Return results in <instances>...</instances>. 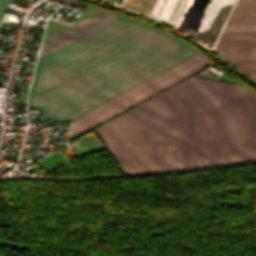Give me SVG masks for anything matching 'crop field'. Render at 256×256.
<instances>
[{
    "instance_id": "2",
    "label": "crop field",
    "mask_w": 256,
    "mask_h": 256,
    "mask_svg": "<svg viewBox=\"0 0 256 256\" xmlns=\"http://www.w3.org/2000/svg\"><path fill=\"white\" fill-rule=\"evenodd\" d=\"M153 99L188 169L256 161L254 91L192 77ZM153 99L93 130L124 174L187 169Z\"/></svg>"
},
{
    "instance_id": "1",
    "label": "crop field",
    "mask_w": 256,
    "mask_h": 256,
    "mask_svg": "<svg viewBox=\"0 0 256 256\" xmlns=\"http://www.w3.org/2000/svg\"><path fill=\"white\" fill-rule=\"evenodd\" d=\"M119 16L100 10L43 40L39 56ZM181 41L121 16L40 57L29 108L72 120L70 141L213 63Z\"/></svg>"
},
{
    "instance_id": "4",
    "label": "crop field",
    "mask_w": 256,
    "mask_h": 256,
    "mask_svg": "<svg viewBox=\"0 0 256 256\" xmlns=\"http://www.w3.org/2000/svg\"><path fill=\"white\" fill-rule=\"evenodd\" d=\"M10 1H12V0H0V14H1V12L3 11L5 5H6L7 3H9Z\"/></svg>"
},
{
    "instance_id": "3",
    "label": "crop field",
    "mask_w": 256,
    "mask_h": 256,
    "mask_svg": "<svg viewBox=\"0 0 256 256\" xmlns=\"http://www.w3.org/2000/svg\"><path fill=\"white\" fill-rule=\"evenodd\" d=\"M213 51L255 79L256 0H237Z\"/></svg>"
}]
</instances>
